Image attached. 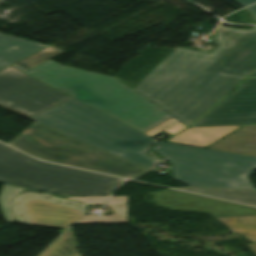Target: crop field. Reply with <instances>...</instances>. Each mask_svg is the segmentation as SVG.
<instances>
[{"label": "crop field", "instance_id": "obj_1", "mask_svg": "<svg viewBox=\"0 0 256 256\" xmlns=\"http://www.w3.org/2000/svg\"><path fill=\"white\" fill-rule=\"evenodd\" d=\"M214 33L210 54L178 48L132 90L191 126L256 69V26Z\"/></svg>", "mask_w": 256, "mask_h": 256}, {"label": "crop field", "instance_id": "obj_2", "mask_svg": "<svg viewBox=\"0 0 256 256\" xmlns=\"http://www.w3.org/2000/svg\"><path fill=\"white\" fill-rule=\"evenodd\" d=\"M25 74L141 132L172 117L114 77L62 66L52 60Z\"/></svg>", "mask_w": 256, "mask_h": 256}, {"label": "crop field", "instance_id": "obj_3", "mask_svg": "<svg viewBox=\"0 0 256 256\" xmlns=\"http://www.w3.org/2000/svg\"><path fill=\"white\" fill-rule=\"evenodd\" d=\"M30 119L150 170L156 162L145 156L151 137L72 98Z\"/></svg>", "mask_w": 256, "mask_h": 256}, {"label": "crop field", "instance_id": "obj_4", "mask_svg": "<svg viewBox=\"0 0 256 256\" xmlns=\"http://www.w3.org/2000/svg\"><path fill=\"white\" fill-rule=\"evenodd\" d=\"M123 179L36 161L0 143V183L60 197L109 195Z\"/></svg>", "mask_w": 256, "mask_h": 256}, {"label": "crop field", "instance_id": "obj_5", "mask_svg": "<svg viewBox=\"0 0 256 256\" xmlns=\"http://www.w3.org/2000/svg\"><path fill=\"white\" fill-rule=\"evenodd\" d=\"M151 150L172 164V178L188 186L256 190L249 180L256 158L158 142Z\"/></svg>", "mask_w": 256, "mask_h": 256}, {"label": "crop field", "instance_id": "obj_6", "mask_svg": "<svg viewBox=\"0 0 256 256\" xmlns=\"http://www.w3.org/2000/svg\"><path fill=\"white\" fill-rule=\"evenodd\" d=\"M9 144L46 161L127 178L150 171L35 122Z\"/></svg>", "mask_w": 256, "mask_h": 256}, {"label": "crop field", "instance_id": "obj_7", "mask_svg": "<svg viewBox=\"0 0 256 256\" xmlns=\"http://www.w3.org/2000/svg\"><path fill=\"white\" fill-rule=\"evenodd\" d=\"M68 98L12 66L0 71V106L27 118Z\"/></svg>", "mask_w": 256, "mask_h": 256}, {"label": "crop field", "instance_id": "obj_8", "mask_svg": "<svg viewBox=\"0 0 256 256\" xmlns=\"http://www.w3.org/2000/svg\"><path fill=\"white\" fill-rule=\"evenodd\" d=\"M12 204L17 223L61 229L82 218L84 207L75 201L39 193L21 194Z\"/></svg>", "mask_w": 256, "mask_h": 256}, {"label": "crop field", "instance_id": "obj_9", "mask_svg": "<svg viewBox=\"0 0 256 256\" xmlns=\"http://www.w3.org/2000/svg\"><path fill=\"white\" fill-rule=\"evenodd\" d=\"M256 124V78L242 84L192 127Z\"/></svg>", "mask_w": 256, "mask_h": 256}, {"label": "crop field", "instance_id": "obj_10", "mask_svg": "<svg viewBox=\"0 0 256 256\" xmlns=\"http://www.w3.org/2000/svg\"><path fill=\"white\" fill-rule=\"evenodd\" d=\"M154 199L163 208L201 212L215 218L256 215L254 207L173 190L154 192Z\"/></svg>", "mask_w": 256, "mask_h": 256}, {"label": "crop field", "instance_id": "obj_11", "mask_svg": "<svg viewBox=\"0 0 256 256\" xmlns=\"http://www.w3.org/2000/svg\"><path fill=\"white\" fill-rule=\"evenodd\" d=\"M207 149L256 157V126H244Z\"/></svg>", "mask_w": 256, "mask_h": 256}, {"label": "crop field", "instance_id": "obj_12", "mask_svg": "<svg viewBox=\"0 0 256 256\" xmlns=\"http://www.w3.org/2000/svg\"><path fill=\"white\" fill-rule=\"evenodd\" d=\"M45 47L47 45L0 34V70Z\"/></svg>", "mask_w": 256, "mask_h": 256}, {"label": "crop field", "instance_id": "obj_13", "mask_svg": "<svg viewBox=\"0 0 256 256\" xmlns=\"http://www.w3.org/2000/svg\"><path fill=\"white\" fill-rule=\"evenodd\" d=\"M239 126L189 128L169 141L205 147Z\"/></svg>", "mask_w": 256, "mask_h": 256}, {"label": "crop field", "instance_id": "obj_14", "mask_svg": "<svg viewBox=\"0 0 256 256\" xmlns=\"http://www.w3.org/2000/svg\"><path fill=\"white\" fill-rule=\"evenodd\" d=\"M256 206V191L184 187L178 188ZM215 197V198H216Z\"/></svg>", "mask_w": 256, "mask_h": 256}, {"label": "crop field", "instance_id": "obj_15", "mask_svg": "<svg viewBox=\"0 0 256 256\" xmlns=\"http://www.w3.org/2000/svg\"><path fill=\"white\" fill-rule=\"evenodd\" d=\"M235 233L256 243V216L218 219Z\"/></svg>", "mask_w": 256, "mask_h": 256}, {"label": "crop field", "instance_id": "obj_16", "mask_svg": "<svg viewBox=\"0 0 256 256\" xmlns=\"http://www.w3.org/2000/svg\"><path fill=\"white\" fill-rule=\"evenodd\" d=\"M41 256H80V255L73 241L70 230H68Z\"/></svg>", "mask_w": 256, "mask_h": 256}, {"label": "crop field", "instance_id": "obj_17", "mask_svg": "<svg viewBox=\"0 0 256 256\" xmlns=\"http://www.w3.org/2000/svg\"><path fill=\"white\" fill-rule=\"evenodd\" d=\"M63 52L64 51L50 46L12 66L16 67L17 69L21 70L24 73Z\"/></svg>", "mask_w": 256, "mask_h": 256}, {"label": "crop field", "instance_id": "obj_18", "mask_svg": "<svg viewBox=\"0 0 256 256\" xmlns=\"http://www.w3.org/2000/svg\"><path fill=\"white\" fill-rule=\"evenodd\" d=\"M22 189L3 185L0 191V210L5 221L14 222L11 209L10 200Z\"/></svg>", "mask_w": 256, "mask_h": 256}, {"label": "crop field", "instance_id": "obj_19", "mask_svg": "<svg viewBox=\"0 0 256 256\" xmlns=\"http://www.w3.org/2000/svg\"><path fill=\"white\" fill-rule=\"evenodd\" d=\"M100 223H127V220L118 215L110 216H88L76 224H100Z\"/></svg>", "mask_w": 256, "mask_h": 256}, {"label": "crop field", "instance_id": "obj_20", "mask_svg": "<svg viewBox=\"0 0 256 256\" xmlns=\"http://www.w3.org/2000/svg\"><path fill=\"white\" fill-rule=\"evenodd\" d=\"M174 122H176V120H174V119L171 118V119H169V120H167V121H165V122L159 124L158 126L152 128V129H150V130H148V131H146V132H144V133L147 134V135H149V136H151V135H153V134L159 132L160 130L166 128L167 126L173 124Z\"/></svg>", "mask_w": 256, "mask_h": 256}, {"label": "crop field", "instance_id": "obj_21", "mask_svg": "<svg viewBox=\"0 0 256 256\" xmlns=\"http://www.w3.org/2000/svg\"><path fill=\"white\" fill-rule=\"evenodd\" d=\"M186 128H188V127H186L185 125H183L182 123L179 122V123L169 127L168 129L164 130L163 132L173 136Z\"/></svg>", "mask_w": 256, "mask_h": 256}, {"label": "crop field", "instance_id": "obj_22", "mask_svg": "<svg viewBox=\"0 0 256 256\" xmlns=\"http://www.w3.org/2000/svg\"><path fill=\"white\" fill-rule=\"evenodd\" d=\"M117 214L125 217L128 219V207H127V203L125 204H121V205H117V206H113L112 207Z\"/></svg>", "mask_w": 256, "mask_h": 256}, {"label": "crop field", "instance_id": "obj_23", "mask_svg": "<svg viewBox=\"0 0 256 256\" xmlns=\"http://www.w3.org/2000/svg\"><path fill=\"white\" fill-rule=\"evenodd\" d=\"M127 202V196L110 197L107 205Z\"/></svg>", "mask_w": 256, "mask_h": 256}, {"label": "crop field", "instance_id": "obj_24", "mask_svg": "<svg viewBox=\"0 0 256 256\" xmlns=\"http://www.w3.org/2000/svg\"><path fill=\"white\" fill-rule=\"evenodd\" d=\"M105 196H93V197H72L70 199H74V200H78L81 201L83 203H87V202H91L100 198H103Z\"/></svg>", "mask_w": 256, "mask_h": 256}, {"label": "crop field", "instance_id": "obj_25", "mask_svg": "<svg viewBox=\"0 0 256 256\" xmlns=\"http://www.w3.org/2000/svg\"><path fill=\"white\" fill-rule=\"evenodd\" d=\"M235 1L238 2L240 5H242L243 7L256 2V0H235Z\"/></svg>", "mask_w": 256, "mask_h": 256}, {"label": "crop field", "instance_id": "obj_26", "mask_svg": "<svg viewBox=\"0 0 256 256\" xmlns=\"http://www.w3.org/2000/svg\"><path fill=\"white\" fill-rule=\"evenodd\" d=\"M247 10H249L253 16V18L256 20V5H253L251 7L246 8Z\"/></svg>", "mask_w": 256, "mask_h": 256}, {"label": "crop field", "instance_id": "obj_27", "mask_svg": "<svg viewBox=\"0 0 256 256\" xmlns=\"http://www.w3.org/2000/svg\"><path fill=\"white\" fill-rule=\"evenodd\" d=\"M108 198V197H107ZM107 198L100 199L98 201L92 202L90 204H105Z\"/></svg>", "mask_w": 256, "mask_h": 256}, {"label": "crop field", "instance_id": "obj_28", "mask_svg": "<svg viewBox=\"0 0 256 256\" xmlns=\"http://www.w3.org/2000/svg\"><path fill=\"white\" fill-rule=\"evenodd\" d=\"M251 251L256 255V244H250V245H247Z\"/></svg>", "mask_w": 256, "mask_h": 256}, {"label": "crop field", "instance_id": "obj_29", "mask_svg": "<svg viewBox=\"0 0 256 256\" xmlns=\"http://www.w3.org/2000/svg\"><path fill=\"white\" fill-rule=\"evenodd\" d=\"M253 77H256V70L251 75H249L247 78H253Z\"/></svg>", "mask_w": 256, "mask_h": 256}]
</instances>
